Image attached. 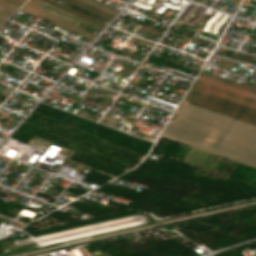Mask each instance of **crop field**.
I'll list each match as a JSON object with an SVG mask.
<instances>
[{
  "label": "crop field",
  "instance_id": "8a807250",
  "mask_svg": "<svg viewBox=\"0 0 256 256\" xmlns=\"http://www.w3.org/2000/svg\"><path fill=\"white\" fill-rule=\"evenodd\" d=\"M174 123L256 149V126L187 103Z\"/></svg>",
  "mask_w": 256,
  "mask_h": 256
},
{
  "label": "crop field",
  "instance_id": "ac0d7876",
  "mask_svg": "<svg viewBox=\"0 0 256 256\" xmlns=\"http://www.w3.org/2000/svg\"><path fill=\"white\" fill-rule=\"evenodd\" d=\"M161 137L256 168V151L168 122Z\"/></svg>",
  "mask_w": 256,
  "mask_h": 256
},
{
  "label": "crop field",
  "instance_id": "34b2d1b8",
  "mask_svg": "<svg viewBox=\"0 0 256 256\" xmlns=\"http://www.w3.org/2000/svg\"><path fill=\"white\" fill-rule=\"evenodd\" d=\"M20 10H22V11L28 13V14H31V15L37 17V18H40V19H42V20H44V21H47V22H49V23H51V24H53V25H56V26H58V27H61V28L66 29V30H68V31H71V32H73V33H75V34H78V35H80V36H83V37H85V38H88V39H90V40H92V39L95 37V35H93V34L87 32V31H85V30H82V29H80V28L74 27L75 25L72 26V25H70V24H67L68 22L65 23V22H63V21H60L61 19L58 20V19L53 18V17H51V16H49V15H47V14H44V13H42V12H40V11H37V10H35V9H33V8H30V7L26 6V5H24L23 7H21Z\"/></svg>",
  "mask_w": 256,
  "mask_h": 256
},
{
  "label": "crop field",
  "instance_id": "412701ff",
  "mask_svg": "<svg viewBox=\"0 0 256 256\" xmlns=\"http://www.w3.org/2000/svg\"><path fill=\"white\" fill-rule=\"evenodd\" d=\"M197 80H200V81H203V82H206V83H209V84H212V85H215V86L227 89V90H231V91H234V92H237V93H240V94H243V95H246V96L256 99V94L246 92V91H243V90H240V89H237V88H234V87H231V86H228V85L216 82V81H212V80L200 77V76H198Z\"/></svg>",
  "mask_w": 256,
  "mask_h": 256
},
{
  "label": "crop field",
  "instance_id": "f4fd0767",
  "mask_svg": "<svg viewBox=\"0 0 256 256\" xmlns=\"http://www.w3.org/2000/svg\"><path fill=\"white\" fill-rule=\"evenodd\" d=\"M13 11L14 10L0 4V23L7 19V17L11 15Z\"/></svg>",
  "mask_w": 256,
  "mask_h": 256
},
{
  "label": "crop field",
  "instance_id": "dd49c442",
  "mask_svg": "<svg viewBox=\"0 0 256 256\" xmlns=\"http://www.w3.org/2000/svg\"><path fill=\"white\" fill-rule=\"evenodd\" d=\"M81 1L86 2V3L90 4V5H93V6L97 7V8H100V9H102V10H104L106 12H109L111 14H114V15L116 14V12H114L112 10H109V9L103 7V6H100V5L96 4V3H93V2H91L89 0H81Z\"/></svg>",
  "mask_w": 256,
  "mask_h": 256
},
{
  "label": "crop field",
  "instance_id": "e52e79f7",
  "mask_svg": "<svg viewBox=\"0 0 256 256\" xmlns=\"http://www.w3.org/2000/svg\"><path fill=\"white\" fill-rule=\"evenodd\" d=\"M0 3L3 4V5H6V6L10 7V8H12V9H14V10L17 9V7H15V6H13V5L9 4V3H6V2H4L2 0H0Z\"/></svg>",
  "mask_w": 256,
  "mask_h": 256
},
{
  "label": "crop field",
  "instance_id": "d8731c3e",
  "mask_svg": "<svg viewBox=\"0 0 256 256\" xmlns=\"http://www.w3.org/2000/svg\"><path fill=\"white\" fill-rule=\"evenodd\" d=\"M253 84H256V80L253 82Z\"/></svg>",
  "mask_w": 256,
  "mask_h": 256
}]
</instances>
